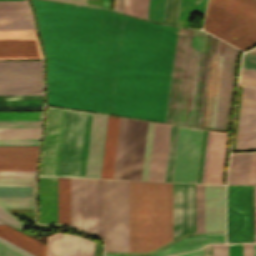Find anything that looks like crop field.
Returning <instances> with one entry per match:
<instances>
[{
	"label": "crop field",
	"mask_w": 256,
	"mask_h": 256,
	"mask_svg": "<svg viewBox=\"0 0 256 256\" xmlns=\"http://www.w3.org/2000/svg\"><path fill=\"white\" fill-rule=\"evenodd\" d=\"M107 119L93 114L85 177L100 178Z\"/></svg>",
	"instance_id": "28ad6ade"
},
{
	"label": "crop field",
	"mask_w": 256,
	"mask_h": 256,
	"mask_svg": "<svg viewBox=\"0 0 256 256\" xmlns=\"http://www.w3.org/2000/svg\"><path fill=\"white\" fill-rule=\"evenodd\" d=\"M94 243L74 235L60 233L58 256H93Z\"/></svg>",
	"instance_id": "92a150f3"
},
{
	"label": "crop field",
	"mask_w": 256,
	"mask_h": 256,
	"mask_svg": "<svg viewBox=\"0 0 256 256\" xmlns=\"http://www.w3.org/2000/svg\"><path fill=\"white\" fill-rule=\"evenodd\" d=\"M71 225L95 234V180L71 179ZM96 235L106 251H129V181L96 180Z\"/></svg>",
	"instance_id": "ac0d7876"
},
{
	"label": "crop field",
	"mask_w": 256,
	"mask_h": 256,
	"mask_svg": "<svg viewBox=\"0 0 256 256\" xmlns=\"http://www.w3.org/2000/svg\"><path fill=\"white\" fill-rule=\"evenodd\" d=\"M70 2L86 4V0H70Z\"/></svg>",
	"instance_id": "ade564c9"
},
{
	"label": "crop field",
	"mask_w": 256,
	"mask_h": 256,
	"mask_svg": "<svg viewBox=\"0 0 256 256\" xmlns=\"http://www.w3.org/2000/svg\"><path fill=\"white\" fill-rule=\"evenodd\" d=\"M179 0H167L164 23L176 25Z\"/></svg>",
	"instance_id": "c035e120"
},
{
	"label": "crop field",
	"mask_w": 256,
	"mask_h": 256,
	"mask_svg": "<svg viewBox=\"0 0 256 256\" xmlns=\"http://www.w3.org/2000/svg\"><path fill=\"white\" fill-rule=\"evenodd\" d=\"M102 0H87V4L101 7Z\"/></svg>",
	"instance_id": "ae633e8c"
},
{
	"label": "crop field",
	"mask_w": 256,
	"mask_h": 256,
	"mask_svg": "<svg viewBox=\"0 0 256 256\" xmlns=\"http://www.w3.org/2000/svg\"><path fill=\"white\" fill-rule=\"evenodd\" d=\"M58 223L70 225V179L58 178Z\"/></svg>",
	"instance_id": "a9b5d70f"
},
{
	"label": "crop field",
	"mask_w": 256,
	"mask_h": 256,
	"mask_svg": "<svg viewBox=\"0 0 256 256\" xmlns=\"http://www.w3.org/2000/svg\"><path fill=\"white\" fill-rule=\"evenodd\" d=\"M58 240H59V233L51 237H48L47 256L58 255Z\"/></svg>",
	"instance_id": "73cf0c24"
},
{
	"label": "crop field",
	"mask_w": 256,
	"mask_h": 256,
	"mask_svg": "<svg viewBox=\"0 0 256 256\" xmlns=\"http://www.w3.org/2000/svg\"><path fill=\"white\" fill-rule=\"evenodd\" d=\"M4 29H34V27L33 25L0 26V30Z\"/></svg>",
	"instance_id": "db79e9e6"
},
{
	"label": "crop field",
	"mask_w": 256,
	"mask_h": 256,
	"mask_svg": "<svg viewBox=\"0 0 256 256\" xmlns=\"http://www.w3.org/2000/svg\"><path fill=\"white\" fill-rule=\"evenodd\" d=\"M242 67L256 69V55L246 53L243 57Z\"/></svg>",
	"instance_id": "0fb4a251"
},
{
	"label": "crop field",
	"mask_w": 256,
	"mask_h": 256,
	"mask_svg": "<svg viewBox=\"0 0 256 256\" xmlns=\"http://www.w3.org/2000/svg\"><path fill=\"white\" fill-rule=\"evenodd\" d=\"M206 0H180L177 25L188 26L189 12L204 13Z\"/></svg>",
	"instance_id": "730fd06b"
},
{
	"label": "crop field",
	"mask_w": 256,
	"mask_h": 256,
	"mask_svg": "<svg viewBox=\"0 0 256 256\" xmlns=\"http://www.w3.org/2000/svg\"><path fill=\"white\" fill-rule=\"evenodd\" d=\"M39 223H57V178L39 177Z\"/></svg>",
	"instance_id": "5142ce71"
},
{
	"label": "crop field",
	"mask_w": 256,
	"mask_h": 256,
	"mask_svg": "<svg viewBox=\"0 0 256 256\" xmlns=\"http://www.w3.org/2000/svg\"><path fill=\"white\" fill-rule=\"evenodd\" d=\"M212 132L208 131L201 183H205Z\"/></svg>",
	"instance_id": "1f2cbd36"
},
{
	"label": "crop field",
	"mask_w": 256,
	"mask_h": 256,
	"mask_svg": "<svg viewBox=\"0 0 256 256\" xmlns=\"http://www.w3.org/2000/svg\"><path fill=\"white\" fill-rule=\"evenodd\" d=\"M6 38H37L34 30H4L0 31V39Z\"/></svg>",
	"instance_id": "c21b1889"
},
{
	"label": "crop field",
	"mask_w": 256,
	"mask_h": 256,
	"mask_svg": "<svg viewBox=\"0 0 256 256\" xmlns=\"http://www.w3.org/2000/svg\"><path fill=\"white\" fill-rule=\"evenodd\" d=\"M210 242H225V233L205 234V236L186 237L177 243L171 245L165 250L158 252L152 256H169L193 249H197ZM105 256H117L113 254H105Z\"/></svg>",
	"instance_id": "bc2a9ffb"
},
{
	"label": "crop field",
	"mask_w": 256,
	"mask_h": 256,
	"mask_svg": "<svg viewBox=\"0 0 256 256\" xmlns=\"http://www.w3.org/2000/svg\"><path fill=\"white\" fill-rule=\"evenodd\" d=\"M196 232H204V185L196 184Z\"/></svg>",
	"instance_id": "750c4746"
},
{
	"label": "crop field",
	"mask_w": 256,
	"mask_h": 256,
	"mask_svg": "<svg viewBox=\"0 0 256 256\" xmlns=\"http://www.w3.org/2000/svg\"><path fill=\"white\" fill-rule=\"evenodd\" d=\"M147 122L128 119L120 179L140 180Z\"/></svg>",
	"instance_id": "d8731c3e"
},
{
	"label": "crop field",
	"mask_w": 256,
	"mask_h": 256,
	"mask_svg": "<svg viewBox=\"0 0 256 256\" xmlns=\"http://www.w3.org/2000/svg\"><path fill=\"white\" fill-rule=\"evenodd\" d=\"M241 76L256 79V70L242 68ZM243 77H241L240 84L256 86L255 79H249V78H243Z\"/></svg>",
	"instance_id": "25e5ab78"
},
{
	"label": "crop field",
	"mask_w": 256,
	"mask_h": 256,
	"mask_svg": "<svg viewBox=\"0 0 256 256\" xmlns=\"http://www.w3.org/2000/svg\"><path fill=\"white\" fill-rule=\"evenodd\" d=\"M0 224H7L21 232L27 227V225L6 209H0Z\"/></svg>",
	"instance_id": "0bd39190"
},
{
	"label": "crop field",
	"mask_w": 256,
	"mask_h": 256,
	"mask_svg": "<svg viewBox=\"0 0 256 256\" xmlns=\"http://www.w3.org/2000/svg\"><path fill=\"white\" fill-rule=\"evenodd\" d=\"M38 146H0V170H35Z\"/></svg>",
	"instance_id": "cbeb9de0"
},
{
	"label": "crop field",
	"mask_w": 256,
	"mask_h": 256,
	"mask_svg": "<svg viewBox=\"0 0 256 256\" xmlns=\"http://www.w3.org/2000/svg\"><path fill=\"white\" fill-rule=\"evenodd\" d=\"M171 125L155 123L148 180L164 181Z\"/></svg>",
	"instance_id": "22f410ed"
},
{
	"label": "crop field",
	"mask_w": 256,
	"mask_h": 256,
	"mask_svg": "<svg viewBox=\"0 0 256 256\" xmlns=\"http://www.w3.org/2000/svg\"><path fill=\"white\" fill-rule=\"evenodd\" d=\"M0 196H34V187H0Z\"/></svg>",
	"instance_id": "b80d0937"
},
{
	"label": "crop field",
	"mask_w": 256,
	"mask_h": 256,
	"mask_svg": "<svg viewBox=\"0 0 256 256\" xmlns=\"http://www.w3.org/2000/svg\"><path fill=\"white\" fill-rule=\"evenodd\" d=\"M0 208H34V197H0Z\"/></svg>",
	"instance_id": "bd1437ed"
},
{
	"label": "crop field",
	"mask_w": 256,
	"mask_h": 256,
	"mask_svg": "<svg viewBox=\"0 0 256 256\" xmlns=\"http://www.w3.org/2000/svg\"><path fill=\"white\" fill-rule=\"evenodd\" d=\"M127 119L120 118L113 178L119 179Z\"/></svg>",
	"instance_id": "eef30255"
},
{
	"label": "crop field",
	"mask_w": 256,
	"mask_h": 256,
	"mask_svg": "<svg viewBox=\"0 0 256 256\" xmlns=\"http://www.w3.org/2000/svg\"><path fill=\"white\" fill-rule=\"evenodd\" d=\"M227 242H253V186H227Z\"/></svg>",
	"instance_id": "dd49c442"
},
{
	"label": "crop field",
	"mask_w": 256,
	"mask_h": 256,
	"mask_svg": "<svg viewBox=\"0 0 256 256\" xmlns=\"http://www.w3.org/2000/svg\"><path fill=\"white\" fill-rule=\"evenodd\" d=\"M228 184H256V152L232 154Z\"/></svg>",
	"instance_id": "d9b57169"
},
{
	"label": "crop field",
	"mask_w": 256,
	"mask_h": 256,
	"mask_svg": "<svg viewBox=\"0 0 256 256\" xmlns=\"http://www.w3.org/2000/svg\"><path fill=\"white\" fill-rule=\"evenodd\" d=\"M227 134L213 132L206 183L221 184Z\"/></svg>",
	"instance_id": "733c2abd"
},
{
	"label": "crop field",
	"mask_w": 256,
	"mask_h": 256,
	"mask_svg": "<svg viewBox=\"0 0 256 256\" xmlns=\"http://www.w3.org/2000/svg\"><path fill=\"white\" fill-rule=\"evenodd\" d=\"M91 117L48 107L39 175L84 177Z\"/></svg>",
	"instance_id": "34b2d1b8"
},
{
	"label": "crop field",
	"mask_w": 256,
	"mask_h": 256,
	"mask_svg": "<svg viewBox=\"0 0 256 256\" xmlns=\"http://www.w3.org/2000/svg\"><path fill=\"white\" fill-rule=\"evenodd\" d=\"M42 112H0V120H41Z\"/></svg>",
	"instance_id": "5866460e"
},
{
	"label": "crop field",
	"mask_w": 256,
	"mask_h": 256,
	"mask_svg": "<svg viewBox=\"0 0 256 256\" xmlns=\"http://www.w3.org/2000/svg\"><path fill=\"white\" fill-rule=\"evenodd\" d=\"M204 256H212V245L204 247Z\"/></svg>",
	"instance_id": "e1d0b9f6"
},
{
	"label": "crop field",
	"mask_w": 256,
	"mask_h": 256,
	"mask_svg": "<svg viewBox=\"0 0 256 256\" xmlns=\"http://www.w3.org/2000/svg\"><path fill=\"white\" fill-rule=\"evenodd\" d=\"M172 240V183L130 181V251Z\"/></svg>",
	"instance_id": "412701ff"
},
{
	"label": "crop field",
	"mask_w": 256,
	"mask_h": 256,
	"mask_svg": "<svg viewBox=\"0 0 256 256\" xmlns=\"http://www.w3.org/2000/svg\"><path fill=\"white\" fill-rule=\"evenodd\" d=\"M149 0H125L124 12L147 19Z\"/></svg>",
	"instance_id": "1d83c4d3"
},
{
	"label": "crop field",
	"mask_w": 256,
	"mask_h": 256,
	"mask_svg": "<svg viewBox=\"0 0 256 256\" xmlns=\"http://www.w3.org/2000/svg\"><path fill=\"white\" fill-rule=\"evenodd\" d=\"M0 236L37 256H45L46 245L7 225H0Z\"/></svg>",
	"instance_id": "00972430"
},
{
	"label": "crop field",
	"mask_w": 256,
	"mask_h": 256,
	"mask_svg": "<svg viewBox=\"0 0 256 256\" xmlns=\"http://www.w3.org/2000/svg\"><path fill=\"white\" fill-rule=\"evenodd\" d=\"M206 134H207V131L204 130L203 141H202V148H201V156H200V164H199V171H198V179H197V182H199V183H200V180H201V172H202V165H203V157H204V149H205V142H206Z\"/></svg>",
	"instance_id": "447ae74e"
},
{
	"label": "crop field",
	"mask_w": 256,
	"mask_h": 256,
	"mask_svg": "<svg viewBox=\"0 0 256 256\" xmlns=\"http://www.w3.org/2000/svg\"><path fill=\"white\" fill-rule=\"evenodd\" d=\"M254 242H256V186H255V239Z\"/></svg>",
	"instance_id": "c39391a2"
},
{
	"label": "crop field",
	"mask_w": 256,
	"mask_h": 256,
	"mask_svg": "<svg viewBox=\"0 0 256 256\" xmlns=\"http://www.w3.org/2000/svg\"><path fill=\"white\" fill-rule=\"evenodd\" d=\"M165 1L166 0H150L148 19L163 23Z\"/></svg>",
	"instance_id": "e1f06a70"
},
{
	"label": "crop field",
	"mask_w": 256,
	"mask_h": 256,
	"mask_svg": "<svg viewBox=\"0 0 256 256\" xmlns=\"http://www.w3.org/2000/svg\"><path fill=\"white\" fill-rule=\"evenodd\" d=\"M243 256H253V244H243Z\"/></svg>",
	"instance_id": "7b73153f"
},
{
	"label": "crop field",
	"mask_w": 256,
	"mask_h": 256,
	"mask_svg": "<svg viewBox=\"0 0 256 256\" xmlns=\"http://www.w3.org/2000/svg\"><path fill=\"white\" fill-rule=\"evenodd\" d=\"M250 52H256V48H255V49H253V50H251Z\"/></svg>",
	"instance_id": "fb207236"
},
{
	"label": "crop field",
	"mask_w": 256,
	"mask_h": 256,
	"mask_svg": "<svg viewBox=\"0 0 256 256\" xmlns=\"http://www.w3.org/2000/svg\"><path fill=\"white\" fill-rule=\"evenodd\" d=\"M213 256H228V244L213 245Z\"/></svg>",
	"instance_id": "1d79db26"
},
{
	"label": "crop field",
	"mask_w": 256,
	"mask_h": 256,
	"mask_svg": "<svg viewBox=\"0 0 256 256\" xmlns=\"http://www.w3.org/2000/svg\"><path fill=\"white\" fill-rule=\"evenodd\" d=\"M0 105H43V96H0Z\"/></svg>",
	"instance_id": "d3111659"
},
{
	"label": "crop field",
	"mask_w": 256,
	"mask_h": 256,
	"mask_svg": "<svg viewBox=\"0 0 256 256\" xmlns=\"http://www.w3.org/2000/svg\"><path fill=\"white\" fill-rule=\"evenodd\" d=\"M229 256H242V244H229Z\"/></svg>",
	"instance_id": "0765c3eb"
},
{
	"label": "crop field",
	"mask_w": 256,
	"mask_h": 256,
	"mask_svg": "<svg viewBox=\"0 0 256 256\" xmlns=\"http://www.w3.org/2000/svg\"><path fill=\"white\" fill-rule=\"evenodd\" d=\"M0 69H42V61L0 62Z\"/></svg>",
	"instance_id": "028f5c9d"
},
{
	"label": "crop field",
	"mask_w": 256,
	"mask_h": 256,
	"mask_svg": "<svg viewBox=\"0 0 256 256\" xmlns=\"http://www.w3.org/2000/svg\"><path fill=\"white\" fill-rule=\"evenodd\" d=\"M0 186H34V178H0Z\"/></svg>",
	"instance_id": "03da06ac"
},
{
	"label": "crop field",
	"mask_w": 256,
	"mask_h": 256,
	"mask_svg": "<svg viewBox=\"0 0 256 256\" xmlns=\"http://www.w3.org/2000/svg\"><path fill=\"white\" fill-rule=\"evenodd\" d=\"M254 256H256V244H254Z\"/></svg>",
	"instance_id": "c5b07064"
},
{
	"label": "crop field",
	"mask_w": 256,
	"mask_h": 256,
	"mask_svg": "<svg viewBox=\"0 0 256 256\" xmlns=\"http://www.w3.org/2000/svg\"><path fill=\"white\" fill-rule=\"evenodd\" d=\"M0 82H42V70H0Z\"/></svg>",
	"instance_id": "4177f3b9"
},
{
	"label": "crop field",
	"mask_w": 256,
	"mask_h": 256,
	"mask_svg": "<svg viewBox=\"0 0 256 256\" xmlns=\"http://www.w3.org/2000/svg\"><path fill=\"white\" fill-rule=\"evenodd\" d=\"M111 0H103L102 7L110 9Z\"/></svg>",
	"instance_id": "d14b1444"
},
{
	"label": "crop field",
	"mask_w": 256,
	"mask_h": 256,
	"mask_svg": "<svg viewBox=\"0 0 256 256\" xmlns=\"http://www.w3.org/2000/svg\"><path fill=\"white\" fill-rule=\"evenodd\" d=\"M201 133L180 127L173 181L195 182Z\"/></svg>",
	"instance_id": "e52e79f7"
},
{
	"label": "crop field",
	"mask_w": 256,
	"mask_h": 256,
	"mask_svg": "<svg viewBox=\"0 0 256 256\" xmlns=\"http://www.w3.org/2000/svg\"><path fill=\"white\" fill-rule=\"evenodd\" d=\"M33 24L26 1L0 2V25Z\"/></svg>",
	"instance_id": "214f88e0"
},
{
	"label": "crop field",
	"mask_w": 256,
	"mask_h": 256,
	"mask_svg": "<svg viewBox=\"0 0 256 256\" xmlns=\"http://www.w3.org/2000/svg\"><path fill=\"white\" fill-rule=\"evenodd\" d=\"M204 30L241 50L256 44V0H209Z\"/></svg>",
	"instance_id": "f4fd0767"
},
{
	"label": "crop field",
	"mask_w": 256,
	"mask_h": 256,
	"mask_svg": "<svg viewBox=\"0 0 256 256\" xmlns=\"http://www.w3.org/2000/svg\"><path fill=\"white\" fill-rule=\"evenodd\" d=\"M39 139H0V145H38Z\"/></svg>",
	"instance_id": "425ffa30"
},
{
	"label": "crop field",
	"mask_w": 256,
	"mask_h": 256,
	"mask_svg": "<svg viewBox=\"0 0 256 256\" xmlns=\"http://www.w3.org/2000/svg\"><path fill=\"white\" fill-rule=\"evenodd\" d=\"M256 149V88L244 86L236 150Z\"/></svg>",
	"instance_id": "3316defc"
},
{
	"label": "crop field",
	"mask_w": 256,
	"mask_h": 256,
	"mask_svg": "<svg viewBox=\"0 0 256 256\" xmlns=\"http://www.w3.org/2000/svg\"><path fill=\"white\" fill-rule=\"evenodd\" d=\"M41 121H0V127H40Z\"/></svg>",
	"instance_id": "d23c7cc5"
},
{
	"label": "crop field",
	"mask_w": 256,
	"mask_h": 256,
	"mask_svg": "<svg viewBox=\"0 0 256 256\" xmlns=\"http://www.w3.org/2000/svg\"><path fill=\"white\" fill-rule=\"evenodd\" d=\"M0 1H3V0H0Z\"/></svg>",
	"instance_id": "7312dd0a"
},
{
	"label": "crop field",
	"mask_w": 256,
	"mask_h": 256,
	"mask_svg": "<svg viewBox=\"0 0 256 256\" xmlns=\"http://www.w3.org/2000/svg\"><path fill=\"white\" fill-rule=\"evenodd\" d=\"M124 0H115L114 10L123 12Z\"/></svg>",
	"instance_id": "78b8030e"
},
{
	"label": "crop field",
	"mask_w": 256,
	"mask_h": 256,
	"mask_svg": "<svg viewBox=\"0 0 256 256\" xmlns=\"http://www.w3.org/2000/svg\"><path fill=\"white\" fill-rule=\"evenodd\" d=\"M177 129L178 126L172 125L165 181H171L172 177Z\"/></svg>",
	"instance_id": "d32e631a"
},
{
	"label": "crop field",
	"mask_w": 256,
	"mask_h": 256,
	"mask_svg": "<svg viewBox=\"0 0 256 256\" xmlns=\"http://www.w3.org/2000/svg\"><path fill=\"white\" fill-rule=\"evenodd\" d=\"M225 231V186L205 185V232Z\"/></svg>",
	"instance_id": "d1516ede"
},
{
	"label": "crop field",
	"mask_w": 256,
	"mask_h": 256,
	"mask_svg": "<svg viewBox=\"0 0 256 256\" xmlns=\"http://www.w3.org/2000/svg\"><path fill=\"white\" fill-rule=\"evenodd\" d=\"M40 128H0V138H39Z\"/></svg>",
	"instance_id": "ae1a2a85"
},
{
	"label": "crop field",
	"mask_w": 256,
	"mask_h": 256,
	"mask_svg": "<svg viewBox=\"0 0 256 256\" xmlns=\"http://www.w3.org/2000/svg\"><path fill=\"white\" fill-rule=\"evenodd\" d=\"M118 122L119 118L109 116L101 178H112Z\"/></svg>",
	"instance_id": "dafd665d"
},
{
	"label": "crop field",
	"mask_w": 256,
	"mask_h": 256,
	"mask_svg": "<svg viewBox=\"0 0 256 256\" xmlns=\"http://www.w3.org/2000/svg\"><path fill=\"white\" fill-rule=\"evenodd\" d=\"M154 123L148 122L141 180H147Z\"/></svg>",
	"instance_id": "120bbe31"
},
{
	"label": "crop field",
	"mask_w": 256,
	"mask_h": 256,
	"mask_svg": "<svg viewBox=\"0 0 256 256\" xmlns=\"http://www.w3.org/2000/svg\"><path fill=\"white\" fill-rule=\"evenodd\" d=\"M0 88H42V83H0Z\"/></svg>",
	"instance_id": "89e229c0"
},
{
	"label": "crop field",
	"mask_w": 256,
	"mask_h": 256,
	"mask_svg": "<svg viewBox=\"0 0 256 256\" xmlns=\"http://www.w3.org/2000/svg\"><path fill=\"white\" fill-rule=\"evenodd\" d=\"M32 3L47 57L48 104L71 108L86 7ZM178 31L87 7L72 108L165 122ZM202 33L180 28L166 122L189 126ZM210 37L203 33L190 126L199 124ZM238 51L215 40L202 128L228 129Z\"/></svg>",
	"instance_id": "8a807250"
},
{
	"label": "crop field",
	"mask_w": 256,
	"mask_h": 256,
	"mask_svg": "<svg viewBox=\"0 0 256 256\" xmlns=\"http://www.w3.org/2000/svg\"><path fill=\"white\" fill-rule=\"evenodd\" d=\"M43 106H0V110H42Z\"/></svg>",
	"instance_id": "9d1cf04e"
},
{
	"label": "crop field",
	"mask_w": 256,
	"mask_h": 256,
	"mask_svg": "<svg viewBox=\"0 0 256 256\" xmlns=\"http://www.w3.org/2000/svg\"><path fill=\"white\" fill-rule=\"evenodd\" d=\"M58 1H64V2H69V0H58Z\"/></svg>",
	"instance_id": "c3a83c6f"
},
{
	"label": "crop field",
	"mask_w": 256,
	"mask_h": 256,
	"mask_svg": "<svg viewBox=\"0 0 256 256\" xmlns=\"http://www.w3.org/2000/svg\"><path fill=\"white\" fill-rule=\"evenodd\" d=\"M177 256H203V248L197 251L177 255Z\"/></svg>",
	"instance_id": "0f1d7ab4"
},
{
	"label": "crop field",
	"mask_w": 256,
	"mask_h": 256,
	"mask_svg": "<svg viewBox=\"0 0 256 256\" xmlns=\"http://www.w3.org/2000/svg\"><path fill=\"white\" fill-rule=\"evenodd\" d=\"M195 232V184L173 183V239Z\"/></svg>",
	"instance_id": "5a996713"
},
{
	"label": "crop field",
	"mask_w": 256,
	"mask_h": 256,
	"mask_svg": "<svg viewBox=\"0 0 256 256\" xmlns=\"http://www.w3.org/2000/svg\"><path fill=\"white\" fill-rule=\"evenodd\" d=\"M0 95H43L42 89H0Z\"/></svg>",
	"instance_id": "b54c1fbb"
},
{
	"label": "crop field",
	"mask_w": 256,
	"mask_h": 256,
	"mask_svg": "<svg viewBox=\"0 0 256 256\" xmlns=\"http://www.w3.org/2000/svg\"><path fill=\"white\" fill-rule=\"evenodd\" d=\"M8 244L0 240V256H30Z\"/></svg>",
	"instance_id": "5d738f31"
},
{
	"label": "crop field",
	"mask_w": 256,
	"mask_h": 256,
	"mask_svg": "<svg viewBox=\"0 0 256 256\" xmlns=\"http://www.w3.org/2000/svg\"><path fill=\"white\" fill-rule=\"evenodd\" d=\"M41 58L37 39L0 40V59Z\"/></svg>",
	"instance_id": "4a817a6b"
},
{
	"label": "crop field",
	"mask_w": 256,
	"mask_h": 256,
	"mask_svg": "<svg viewBox=\"0 0 256 256\" xmlns=\"http://www.w3.org/2000/svg\"><path fill=\"white\" fill-rule=\"evenodd\" d=\"M35 171H0V177H34Z\"/></svg>",
	"instance_id": "dbb93151"
}]
</instances>
